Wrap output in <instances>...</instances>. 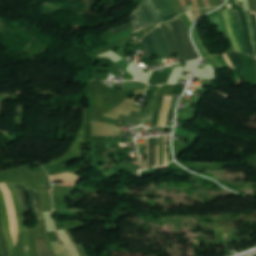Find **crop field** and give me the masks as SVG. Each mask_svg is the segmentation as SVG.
Masks as SVG:
<instances>
[{
	"label": "crop field",
	"mask_w": 256,
	"mask_h": 256,
	"mask_svg": "<svg viewBox=\"0 0 256 256\" xmlns=\"http://www.w3.org/2000/svg\"><path fill=\"white\" fill-rule=\"evenodd\" d=\"M160 25L172 53H179L182 62L199 58L183 20L165 22Z\"/></svg>",
	"instance_id": "8a807250"
},
{
	"label": "crop field",
	"mask_w": 256,
	"mask_h": 256,
	"mask_svg": "<svg viewBox=\"0 0 256 256\" xmlns=\"http://www.w3.org/2000/svg\"><path fill=\"white\" fill-rule=\"evenodd\" d=\"M130 17L134 22L133 34L157 23L145 3Z\"/></svg>",
	"instance_id": "ac0d7876"
},
{
	"label": "crop field",
	"mask_w": 256,
	"mask_h": 256,
	"mask_svg": "<svg viewBox=\"0 0 256 256\" xmlns=\"http://www.w3.org/2000/svg\"><path fill=\"white\" fill-rule=\"evenodd\" d=\"M0 210H1L2 226L4 229L8 249L10 253H12L15 250V248H14V244H13L10 229H9V221H8V216L6 211V205H5L4 197L1 191H0Z\"/></svg>",
	"instance_id": "34b2d1b8"
},
{
	"label": "crop field",
	"mask_w": 256,
	"mask_h": 256,
	"mask_svg": "<svg viewBox=\"0 0 256 256\" xmlns=\"http://www.w3.org/2000/svg\"><path fill=\"white\" fill-rule=\"evenodd\" d=\"M151 34L154 39L157 50H158L159 54L161 55L162 59L170 56L171 51H170L169 46L165 40V37L163 35L160 25L156 29H154L151 32Z\"/></svg>",
	"instance_id": "412701ff"
},
{
	"label": "crop field",
	"mask_w": 256,
	"mask_h": 256,
	"mask_svg": "<svg viewBox=\"0 0 256 256\" xmlns=\"http://www.w3.org/2000/svg\"><path fill=\"white\" fill-rule=\"evenodd\" d=\"M30 206L37 221L44 220L39 194L31 190H30Z\"/></svg>",
	"instance_id": "f4fd0767"
},
{
	"label": "crop field",
	"mask_w": 256,
	"mask_h": 256,
	"mask_svg": "<svg viewBox=\"0 0 256 256\" xmlns=\"http://www.w3.org/2000/svg\"><path fill=\"white\" fill-rule=\"evenodd\" d=\"M16 197H17V201H18V205H19V210H20V215H21V221H22V228H23V236H24V243H25V255L29 256V247H28V240H27V234H26V227H25V222H24V216H23V212H22V208H21V203H20V197L19 194L15 188L14 185H11Z\"/></svg>",
	"instance_id": "dd49c442"
},
{
	"label": "crop field",
	"mask_w": 256,
	"mask_h": 256,
	"mask_svg": "<svg viewBox=\"0 0 256 256\" xmlns=\"http://www.w3.org/2000/svg\"><path fill=\"white\" fill-rule=\"evenodd\" d=\"M122 115L119 117V120H123V121H126L128 123L138 124V125L142 124L143 119L145 117L144 114L136 113V112H133V111H131L129 117L122 116Z\"/></svg>",
	"instance_id": "e52e79f7"
},
{
	"label": "crop field",
	"mask_w": 256,
	"mask_h": 256,
	"mask_svg": "<svg viewBox=\"0 0 256 256\" xmlns=\"http://www.w3.org/2000/svg\"><path fill=\"white\" fill-rule=\"evenodd\" d=\"M40 256H56L47 246L45 239L36 238Z\"/></svg>",
	"instance_id": "d8731c3e"
},
{
	"label": "crop field",
	"mask_w": 256,
	"mask_h": 256,
	"mask_svg": "<svg viewBox=\"0 0 256 256\" xmlns=\"http://www.w3.org/2000/svg\"><path fill=\"white\" fill-rule=\"evenodd\" d=\"M145 3L157 21L164 16L163 12L159 8L155 0H147Z\"/></svg>",
	"instance_id": "5a996713"
},
{
	"label": "crop field",
	"mask_w": 256,
	"mask_h": 256,
	"mask_svg": "<svg viewBox=\"0 0 256 256\" xmlns=\"http://www.w3.org/2000/svg\"><path fill=\"white\" fill-rule=\"evenodd\" d=\"M171 98L172 97H168V96H165V98H164L163 110H162V114L160 113L161 118H160L158 126H165V124H166V119H167V114H168V109H169Z\"/></svg>",
	"instance_id": "3316defc"
},
{
	"label": "crop field",
	"mask_w": 256,
	"mask_h": 256,
	"mask_svg": "<svg viewBox=\"0 0 256 256\" xmlns=\"http://www.w3.org/2000/svg\"><path fill=\"white\" fill-rule=\"evenodd\" d=\"M228 55L238 74H240L242 71L243 64L239 54L235 52H228Z\"/></svg>",
	"instance_id": "28ad6ade"
},
{
	"label": "crop field",
	"mask_w": 256,
	"mask_h": 256,
	"mask_svg": "<svg viewBox=\"0 0 256 256\" xmlns=\"http://www.w3.org/2000/svg\"><path fill=\"white\" fill-rule=\"evenodd\" d=\"M51 181L60 180V181H78L80 180L76 175L71 173L59 174L50 176Z\"/></svg>",
	"instance_id": "d1516ede"
},
{
	"label": "crop field",
	"mask_w": 256,
	"mask_h": 256,
	"mask_svg": "<svg viewBox=\"0 0 256 256\" xmlns=\"http://www.w3.org/2000/svg\"><path fill=\"white\" fill-rule=\"evenodd\" d=\"M16 187L20 193L24 213L30 212L29 202H28L24 187L19 185H16Z\"/></svg>",
	"instance_id": "22f410ed"
},
{
	"label": "crop field",
	"mask_w": 256,
	"mask_h": 256,
	"mask_svg": "<svg viewBox=\"0 0 256 256\" xmlns=\"http://www.w3.org/2000/svg\"><path fill=\"white\" fill-rule=\"evenodd\" d=\"M233 12H234V16H235L238 32H239V37H240L242 45H243V49H244L245 53L248 54L247 46H246V43H245L243 31H242L241 22H240V19H239V16H238V10H235Z\"/></svg>",
	"instance_id": "cbeb9de0"
},
{
	"label": "crop field",
	"mask_w": 256,
	"mask_h": 256,
	"mask_svg": "<svg viewBox=\"0 0 256 256\" xmlns=\"http://www.w3.org/2000/svg\"><path fill=\"white\" fill-rule=\"evenodd\" d=\"M149 167H155V138H149Z\"/></svg>",
	"instance_id": "5142ce71"
},
{
	"label": "crop field",
	"mask_w": 256,
	"mask_h": 256,
	"mask_svg": "<svg viewBox=\"0 0 256 256\" xmlns=\"http://www.w3.org/2000/svg\"><path fill=\"white\" fill-rule=\"evenodd\" d=\"M239 16H240V19H241V22H242V25H243L244 35H245L247 46H248V49H249V52H250V56H252V46H251V42H250L249 36H248V29H247L244 13L239 12Z\"/></svg>",
	"instance_id": "d9b57169"
},
{
	"label": "crop field",
	"mask_w": 256,
	"mask_h": 256,
	"mask_svg": "<svg viewBox=\"0 0 256 256\" xmlns=\"http://www.w3.org/2000/svg\"><path fill=\"white\" fill-rule=\"evenodd\" d=\"M223 13H224V17H225V20H226L228 32H229L231 41H232V43H233V46H234V48H235L236 51L241 52L240 49H239V47H238V44H237V42H236V40H235V38H234V36H233V33H232V29H231V25H230V21H229V17H228V11L225 10V11H223Z\"/></svg>",
	"instance_id": "733c2abd"
},
{
	"label": "crop field",
	"mask_w": 256,
	"mask_h": 256,
	"mask_svg": "<svg viewBox=\"0 0 256 256\" xmlns=\"http://www.w3.org/2000/svg\"><path fill=\"white\" fill-rule=\"evenodd\" d=\"M227 6H228L229 17H230L232 28L234 30L235 37L237 39V42L239 44V47H240L241 51L244 52L243 49H242V46H241V42H240V40L238 38V35H237V28H236L234 16H233L232 9H231V4H228Z\"/></svg>",
	"instance_id": "4a817a6b"
},
{
	"label": "crop field",
	"mask_w": 256,
	"mask_h": 256,
	"mask_svg": "<svg viewBox=\"0 0 256 256\" xmlns=\"http://www.w3.org/2000/svg\"><path fill=\"white\" fill-rule=\"evenodd\" d=\"M245 15H246L247 24H248V28H249V32H250V40H251L252 46H253V57H254V54H255V42H254L253 28H252V23H251L249 11L246 12Z\"/></svg>",
	"instance_id": "bc2a9ffb"
},
{
	"label": "crop field",
	"mask_w": 256,
	"mask_h": 256,
	"mask_svg": "<svg viewBox=\"0 0 256 256\" xmlns=\"http://www.w3.org/2000/svg\"><path fill=\"white\" fill-rule=\"evenodd\" d=\"M10 192H11V195H12V198H13V201H14V204H15V209H16V215H17V221H18V226H19V233L22 232V228H21V221H20V215H19V210H18V206H17V202H16V198H15V194L10 186V184H7Z\"/></svg>",
	"instance_id": "214f88e0"
},
{
	"label": "crop field",
	"mask_w": 256,
	"mask_h": 256,
	"mask_svg": "<svg viewBox=\"0 0 256 256\" xmlns=\"http://www.w3.org/2000/svg\"><path fill=\"white\" fill-rule=\"evenodd\" d=\"M0 245H1L3 255L4 256H9L10 254L8 252V249H7L5 240H4L3 232H2V229H1V218H0Z\"/></svg>",
	"instance_id": "92a150f3"
},
{
	"label": "crop field",
	"mask_w": 256,
	"mask_h": 256,
	"mask_svg": "<svg viewBox=\"0 0 256 256\" xmlns=\"http://www.w3.org/2000/svg\"><path fill=\"white\" fill-rule=\"evenodd\" d=\"M148 84L142 82H124L123 89L146 87Z\"/></svg>",
	"instance_id": "dafd665d"
},
{
	"label": "crop field",
	"mask_w": 256,
	"mask_h": 256,
	"mask_svg": "<svg viewBox=\"0 0 256 256\" xmlns=\"http://www.w3.org/2000/svg\"><path fill=\"white\" fill-rule=\"evenodd\" d=\"M159 6L161 7L162 11L164 12L165 15L173 12L167 2V0H157Z\"/></svg>",
	"instance_id": "00972430"
},
{
	"label": "crop field",
	"mask_w": 256,
	"mask_h": 256,
	"mask_svg": "<svg viewBox=\"0 0 256 256\" xmlns=\"http://www.w3.org/2000/svg\"><path fill=\"white\" fill-rule=\"evenodd\" d=\"M131 28H132V24H131V21H130V22H128V23H125V24H123V25H121V26H118V27H116V28L110 30V32H119V33H123V32H125V31H127V30H129V29H131Z\"/></svg>",
	"instance_id": "a9b5d70f"
},
{
	"label": "crop field",
	"mask_w": 256,
	"mask_h": 256,
	"mask_svg": "<svg viewBox=\"0 0 256 256\" xmlns=\"http://www.w3.org/2000/svg\"><path fill=\"white\" fill-rule=\"evenodd\" d=\"M146 169L148 168V138L145 139ZM141 170L145 169L144 158H140Z\"/></svg>",
	"instance_id": "4177f3b9"
},
{
	"label": "crop field",
	"mask_w": 256,
	"mask_h": 256,
	"mask_svg": "<svg viewBox=\"0 0 256 256\" xmlns=\"http://www.w3.org/2000/svg\"><path fill=\"white\" fill-rule=\"evenodd\" d=\"M145 52H146V55H147V59L151 56L150 54V51H149V48H148V45H147V41H146V38L144 37L142 42H141Z\"/></svg>",
	"instance_id": "730fd06b"
},
{
	"label": "crop field",
	"mask_w": 256,
	"mask_h": 256,
	"mask_svg": "<svg viewBox=\"0 0 256 256\" xmlns=\"http://www.w3.org/2000/svg\"><path fill=\"white\" fill-rule=\"evenodd\" d=\"M195 29H196L197 37H198V40H199V43H200L202 49L209 55V57L212 56V55L207 51L206 47L203 45L202 39H201V37H200V35H199V33H198L197 25L195 26Z\"/></svg>",
	"instance_id": "eef30255"
},
{
	"label": "crop field",
	"mask_w": 256,
	"mask_h": 256,
	"mask_svg": "<svg viewBox=\"0 0 256 256\" xmlns=\"http://www.w3.org/2000/svg\"><path fill=\"white\" fill-rule=\"evenodd\" d=\"M167 164V138H164V165Z\"/></svg>",
	"instance_id": "ae1a2a85"
},
{
	"label": "crop field",
	"mask_w": 256,
	"mask_h": 256,
	"mask_svg": "<svg viewBox=\"0 0 256 256\" xmlns=\"http://www.w3.org/2000/svg\"><path fill=\"white\" fill-rule=\"evenodd\" d=\"M176 101H177V99H175V98L172 99V101H171V106H170V111H169V114H168V115H172L173 111L175 110Z\"/></svg>",
	"instance_id": "d3111659"
},
{
	"label": "crop field",
	"mask_w": 256,
	"mask_h": 256,
	"mask_svg": "<svg viewBox=\"0 0 256 256\" xmlns=\"http://www.w3.org/2000/svg\"><path fill=\"white\" fill-rule=\"evenodd\" d=\"M130 36H131V35H130ZM130 36H127V37H125V38L119 39V40H117V41H115V42H112L111 44H113V45H119V44H121V43H123V42H125V41H128V40L130 39Z\"/></svg>",
	"instance_id": "750c4746"
},
{
	"label": "crop field",
	"mask_w": 256,
	"mask_h": 256,
	"mask_svg": "<svg viewBox=\"0 0 256 256\" xmlns=\"http://www.w3.org/2000/svg\"><path fill=\"white\" fill-rule=\"evenodd\" d=\"M178 15H179V13H178V11H176V12H174L173 14L169 15L168 17H166V18H164V19H161L159 22H161V21H167V20L173 19V18H175V17L178 16Z\"/></svg>",
	"instance_id": "bd1437ed"
},
{
	"label": "crop field",
	"mask_w": 256,
	"mask_h": 256,
	"mask_svg": "<svg viewBox=\"0 0 256 256\" xmlns=\"http://www.w3.org/2000/svg\"><path fill=\"white\" fill-rule=\"evenodd\" d=\"M155 100H156V99H155ZM154 104H155V101L153 102V104H152V106H151V108H150V110H149V112H148V114H147V116H146V119H145V120H147V121H151V116H152Z\"/></svg>",
	"instance_id": "1d83c4d3"
},
{
	"label": "crop field",
	"mask_w": 256,
	"mask_h": 256,
	"mask_svg": "<svg viewBox=\"0 0 256 256\" xmlns=\"http://www.w3.org/2000/svg\"><path fill=\"white\" fill-rule=\"evenodd\" d=\"M251 17H252V21H253V25H254V31H255V41H256V14L251 12Z\"/></svg>",
	"instance_id": "120bbe31"
},
{
	"label": "crop field",
	"mask_w": 256,
	"mask_h": 256,
	"mask_svg": "<svg viewBox=\"0 0 256 256\" xmlns=\"http://www.w3.org/2000/svg\"><path fill=\"white\" fill-rule=\"evenodd\" d=\"M155 96H156V94L154 93L153 96H152V98H151L150 101L148 102L147 106H146L145 109L143 110V113H145V114L147 113V111H148V109H149L151 103L153 102Z\"/></svg>",
	"instance_id": "d32e631a"
},
{
	"label": "crop field",
	"mask_w": 256,
	"mask_h": 256,
	"mask_svg": "<svg viewBox=\"0 0 256 256\" xmlns=\"http://www.w3.org/2000/svg\"><path fill=\"white\" fill-rule=\"evenodd\" d=\"M187 15H188L190 21H195L197 19V17H196V15H195L193 10L190 11V12H187Z\"/></svg>",
	"instance_id": "5866460e"
},
{
	"label": "crop field",
	"mask_w": 256,
	"mask_h": 256,
	"mask_svg": "<svg viewBox=\"0 0 256 256\" xmlns=\"http://www.w3.org/2000/svg\"><path fill=\"white\" fill-rule=\"evenodd\" d=\"M159 166V146H156V167Z\"/></svg>",
	"instance_id": "028f5c9d"
},
{
	"label": "crop field",
	"mask_w": 256,
	"mask_h": 256,
	"mask_svg": "<svg viewBox=\"0 0 256 256\" xmlns=\"http://www.w3.org/2000/svg\"><path fill=\"white\" fill-rule=\"evenodd\" d=\"M223 57H224L225 61L227 62V64L230 66V68L234 69L226 53L223 54Z\"/></svg>",
	"instance_id": "e1f06a70"
},
{
	"label": "crop field",
	"mask_w": 256,
	"mask_h": 256,
	"mask_svg": "<svg viewBox=\"0 0 256 256\" xmlns=\"http://www.w3.org/2000/svg\"><path fill=\"white\" fill-rule=\"evenodd\" d=\"M146 37H147V39H148V42H149V45H150V48H151L153 54H155V51H154V48H153V46H152V43H151V40H150L149 35H146Z\"/></svg>",
	"instance_id": "0bd39190"
},
{
	"label": "crop field",
	"mask_w": 256,
	"mask_h": 256,
	"mask_svg": "<svg viewBox=\"0 0 256 256\" xmlns=\"http://www.w3.org/2000/svg\"><path fill=\"white\" fill-rule=\"evenodd\" d=\"M214 62H216L221 68H224V66L215 58V57H212L211 58Z\"/></svg>",
	"instance_id": "b80d0937"
},
{
	"label": "crop field",
	"mask_w": 256,
	"mask_h": 256,
	"mask_svg": "<svg viewBox=\"0 0 256 256\" xmlns=\"http://www.w3.org/2000/svg\"><path fill=\"white\" fill-rule=\"evenodd\" d=\"M81 247H82V249H83V251H84L85 256H89V255H88V252H87V250H86V248H85V246H84V245H81Z\"/></svg>",
	"instance_id": "c035e120"
},
{
	"label": "crop field",
	"mask_w": 256,
	"mask_h": 256,
	"mask_svg": "<svg viewBox=\"0 0 256 256\" xmlns=\"http://www.w3.org/2000/svg\"><path fill=\"white\" fill-rule=\"evenodd\" d=\"M183 9H184V11L186 12V11L191 10V9H193V8H192L191 5H189V6L183 7Z\"/></svg>",
	"instance_id": "c21b1889"
},
{
	"label": "crop field",
	"mask_w": 256,
	"mask_h": 256,
	"mask_svg": "<svg viewBox=\"0 0 256 256\" xmlns=\"http://www.w3.org/2000/svg\"><path fill=\"white\" fill-rule=\"evenodd\" d=\"M149 35H150V37H151V34L149 33ZM151 40H152V38H151ZM152 43H153V41H152ZM153 45H154V43H153ZM154 48H155V50H156V47H155V45H154ZM156 52H157V50H156ZM157 54H158V52H157ZM159 55V54H158Z\"/></svg>",
	"instance_id": "03da06ac"
},
{
	"label": "crop field",
	"mask_w": 256,
	"mask_h": 256,
	"mask_svg": "<svg viewBox=\"0 0 256 256\" xmlns=\"http://www.w3.org/2000/svg\"><path fill=\"white\" fill-rule=\"evenodd\" d=\"M0 256H3L2 253H1V251H0Z\"/></svg>",
	"instance_id": "b54c1fbb"
}]
</instances>
